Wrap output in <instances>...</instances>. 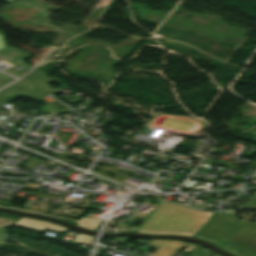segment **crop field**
<instances>
[{
  "instance_id": "crop-field-1",
  "label": "crop field",
  "mask_w": 256,
  "mask_h": 256,
  "mask_svg": "<svg viewBox=\"0 0 256 256\" xmlns=\"http://www.w3.org/2000/svg\"><path fill=\"white\" fill-rule=\"evenodd\" d=\"M234 214L214 213L196 237L212 240L239 256H256V225L233 222Z\"/></svg>"
},
{
  "instance_id": "crop-field-2",
  "label": "crop field",
  "mask_w": 256,
  "mask_h": 256,
  "mask_svg": "<svg viewBox=\"0 0 256 256\" xmlns=\"http://www.w3.org/2000/svg\"><path fill=\"white\" fill-rule=\"evenodd\" d=\"M211 214L163 202L138 232L195 236Z\"/></svg>"
},
{
  "instance_id": "crop-field-3",
  "label": "crop field",
  "mask_w": 256,
  "mask_h": 256,
  "mask_svg": "<svg viewBox=\"0 0 256 256\" xmlns=\"http://www.w3.org/2000/svg\"><path fill=\"white\" fill-rule=\"evenodd\" d=\"M24 80L13 85L18 88L24 89L32 94H34L36 97L40 98L42 96L48 95L50 93L56 92L60 90L61 88L65 87V83L60 81L59 79L53 77L49 79L46 76V73L35 69L33 72L28 74ZM52 81H58L62 85L59 88L52 89L48 86L49 83Z\"/></svg>"
},
{
  "instance_id": "crop-field-4",
  "label": "crop field",
  "mask_w": 256,
  "mask_h": 256,
  "mask_svg": "<svg viewBox=\"0 0 256 256\" xmlns=\"http://www.w3.org/2000/svg\"><path fill=\"white\" fill-rule=\"evenodd\" d=\"M15 226L32 229V230H38V231H44L47 228L51 231L67 232V229H64L46 222L25 219V218H21L18 222H16Z\"/></svg>"
},
{
  "instance_id": "crop-field-5",
  "label": "crop field",
  "mask_w": 256,
  "mask_h": 256,
  "mask_svg": "<svg viewBox=\"0 0 256 256\" xmlns=\"http://www.w3.org/2000/svg\"><path fill=\"white\" fill-rule=\"evenodd\" d=\"M186 245H188V243L168 241L164 246H162L152 256H174L177 252H179L181 249H183Z\"/></svg>"
},
{
  "instance_id": "crop-field-6",
  "label": "crop field",
  "mask_w": 256,
  "mask_h": 256,
  "mask_svg": "<svg viewBox=\"0 0 256 256\" xmlns=\"http://www.w3.org/2000/svg\"><path fill=\"white\" fill-rule=\"evenodd\" d=\"M99 223V220L82 217L78 225L88 229L95 230Z\"/></svg>"
},
{
  "instance_id": "crop-field-7",
  "label": "crop field",
  "mask_w": 256,
  "mask_h": 256,
  "mask_svg": "<svg viewBox=\"0 0 256 256\" xmlns=\"http://www.w3.org/2000/svg\"><path fill=\"white\" fill-rule=\"evenodd\" d=\"M73 242L75 243H79V244H88V245H91L92 243V238L90 236H85V235H81V234H78L76 236V239L73 240Z\"/></svg>"
},
{
  "instance_id": "crop-field-8",
  "label": "crop field",
  "mask_w": 256,
  "mask_h": 256,
  "mask_svg": "<svg viewBox=\"0 0 256 256\" xmlns=\"http://www.w3.org/2000/svg\"><path fill=\"white\" fill-rule=\"evenodd\" d=\"M15 222V220L0 218V227L12 226Z\"/></svg>"
},
{
  "instance_id": "crop-field-9",
  "label": "crop field",
  "mask_w": 256,
  "mask_h": 256,
  "mask_svg": "<svg viewBox=\"0 0 256 256\" xmlns=\"http://www.w3.org/2000/svg\"><path fill=\"white\" fill-rule=\"evenodd\" d=\"M6 47L5 45V40H4V35L2 33V31H0V49Z\"/></svg>"
},
{
  "instance_id": "crop-field-10",
  "label": "crop field",
  "mask_w": 256,
  "mask_h": 256,
  "mask_svg": "<svg viewBox=\"0 0 256 256\" xmlns=\"http://www.w3.org/2000/svg\"><path fill=\"white\" fill-rule=\"evenodd\" d=\"M5 84H7V83H5V82H3V81L0 80V87L3 86V85H5Z\"/></svg>"
},
{
  "instance_id": "crop-field-11",
  "label": "crop field",
  "mask_w": 256,
  "mask_h": 256,
  "mask_svg": "<svg viewBox=\"0 0 256 256\" xmlns=\"http://www.w3.org/2000/svg\"><path fill=\"white\" fill-rule=\"evenodd\" d=\"M1 1L12 3L14 0H1Z\"/></svg>"
}]
</instances>
